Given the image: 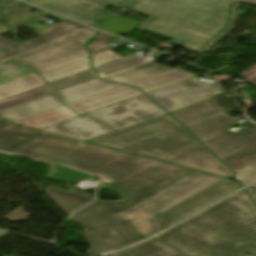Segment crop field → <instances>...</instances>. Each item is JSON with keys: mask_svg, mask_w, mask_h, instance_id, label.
I'll return each instance as SVG.
<instances>
[{"mask_svg": "<svg viewBox=\"0 0 256 256\" xmlns=\"http://www.w3.org/2000/svg\"><path fill=\"white\" fill-rule=\"evenodd\" d=\"M0 151L101 173L126 192L122 202L96 200L72 214V221L93 229L83 236L92 246L89 256L145 239L121 212L192 172L4 122H0Z\"/></svg>", "mask_w": 256, "mask_h": 256, "instance_id": "obj_1", "label": "crop field"}, {"mask_svg": "<svg viewBox=\"0 0 256 256\" xmlns=\"http://www.w3.org/2000/svg\"><path fill=\"white\" fill-rule=\"evenodd\" d=\"M82 23L99 28V8L82 2L69 4L24 0ZM129 1V0H127ZM237 3L230 0H134L126 8L150 17L138 30L175 39L189 49L204 53L210 45L193 41L197 33L224 35L232 25Z\"/></svg>", "mask_w": 256, "mask_h": 256, "instance_id": "obj_2", "label": "crop field"}, {"mask_svg": "<svg viewBox=\"0 0 256 256\" xmlns=\"http://www.w3.org/2000/svg\"><path fill=\"white\" fill-rule=\"evenodd\" d=\"M155 238L190 256H248L243 252L256 247V208L241 190Z\"/></svg>", "mask_w": 256, "mask_h": 256, "instance_id": "obj_3", "label": "crop field"}, {"mask_svg": "<svg viewBox=\"0 0 256 256\" xmlns=\"http://www.w3.org/2000/svg\"><path fill=\"white\" fill-rule=\"evenodd\" d=\"M90 142L227 178L234 175L167 114Z\"/></svg>", "mask_w": 256, "mask_h": 256, "instance_id": "obj_4", "label": "crop field"}, {"mask_svg": "<svg viewBox=\"0 0 256 256\" xmlns=\"http://www.w3.org/2000/svg\"><path fill=\"white\" fill-rule=\"evenodd\" d=\"M235 173L256 159V125L233 133L237 123L222 109L215 97L170 112ZM198 139V140H199Z\"/></svg>", "mask_w": 256, "mask_h": 256, "instance_id": "obj_5", "label": "crop field"}, {"mask_svg": "<svg viewBox=\"0 0 256 256\" xmlns=\"http://www.w3.org/2000/svg\"><path fill=\"white\" fill-rule=\"evenodd\" d=\"M96 32L88 28L13 60L39 73L48 71L89 57L83 43L92 38ZM34 75L37 74L13 63L0 70V87Z\"/></svg>", "mask_w": 256, "mask_h": 256, "instance_id": "obj_6", "label": "crop field"}, {"mask_svg": "<svg viewBox=\"0 0 256 256\" xmlns=\"http://www.w3.org/2000/svg\"><path fill=\"white\" fill-rule=\"evenodd\" d=\"M219 83L212 84L194 77L147 93L168 112L213 97L222 92Z\"/></svg>", "mask_w": 256, "mask_h": 256, "instance_id": "obj_7", "label": "crop field"}, {"mask_svg": "<svg viewBox=\"0 0 256 256\" xmlns=\"http://www.w3.org/2000/svg\"><path fill=\"white\" fill-rule=\"evenodd\" d=\"M89 113L119 130L165 113V111L142 94Z\"/></svg>", "mask_w": 256, "mask_h": 256, "instance_id": "obj_8", "label": "crop field"}, {"mask_svg": "<svg viewBox=\"0 0 256 256\" xmlns=\"http://www.w3.org/2000/svg\"><path fill=\"white\" fill-rule=\"evenodd\" d=\"M242 187L240 183L224 180L208 190L198 193L199 195L185 201L184 203L162 213L160 216L162 230Z\"/></svg>", "mask_w": 256, "mask_h": 256, "instance_id": "obj_9", "label": "crop field"}, {"mask_svg": "<svg viewBox=\"0 0 256 256\" xmlns=\"http://www.w3.org/2000/svg\"><path fill=\"white\" fill-rule=\"evenodd\" d=\"M86 28L88 27L66 20L35 32L36 34L40 35L39 38L27 41L20 45H17L0 36V50L3 47H7L6 51L0 52V63L19 57L20 55L26 54Z\"/></svg>", "mask_w": 256, "mask_h": 256, "instance_id": "obj_10", "label": "crop field"}, {"mask_svg": "<svg viewBox=\"0 0 256 256\" xmlns=\"http://www.w3.org/2000/svg\"><path fill=\"white\" fill-rule=\"evenodd\" d=\"M225 178L202 173L190 181L184 183L178 188L151 202L156 214L162 212L184 202L185 200L197 195L198 193L208 189Z\"/></svg>", "mask_w": 256, "mask_h": 256, "instance_id": "obj_11", "label": "crop field"}, {"mask_svg": "<svg viewBox=\"0 0 256 256\" xmlns=\"http://www.w3.org/2000/svg\"><path fill=\"white\" fill-rule=\"evenodd\" d=\"M90 115V114H89ZM88 114L64 120L40 130L87 141L90 138L113 131Z\"/></svg>", "mask_w": 256, "mask_h": 256, "instance_id": "obj_12", "label": "crop field"}, {"mask_svg": "<svg viewBox=\"0 0 256 256\" xmlns=\"http://www.w3.org/2000/svg\"><path fill=\"white\" fill-rule=\"evenodd\" d=\"M201 172H194L181 180L177 181L176 183L172 184L171 186L165 188L164 190L160 191L159 193L153 195L152 197L148 198L147 200L135 205L134 207L126 210L123 214L137 227V229L146 237H150L159 232L158 223L154 217L151 215L153 214V209L150 205V202L157 199L158 197L164 195L165 193L171 191L172 189L178 187L179 185L183 184L184 182L190 180L191 178L195 177L196 175L200 174Z\"/></svg>", "mask_w": 256, "mask_h": 256, "instance_id": "obj_13", "label": "crop field"}, {"mask_svg": "<svg viewBox=\"0 0 256 256\" xmlns=\"http://www.w3.org/2000/svg\"><path fill=\"white\" fill-rule=\"evenodd\" d=\"M139 94H142L140 90L122 85L67 105L78 114H83Z\"/></svg>", "mask_w": 256, "mask_h": 256, "instance_id": "obj_14", "label": "crop field"}, {"mask_svg": "<svg viewBox=\"0 0 256 256\" xmlns=\"http://www.w3.org/2000/svg\"><path fill=\"white\" fill-rule=\"evenodd\" d=\"M60 105H63V103L55 94H53L26 104L0 111V119L12 122Z\"/></svg>", "mask_w": 256, "mask_h": 256, "instance_id": "obj_15", "label": "crop field"}, {"mask_svg": "<svg viewBox=\"0 0 256 256\" xmlns=\"http://www.w3.org/2000/svg\"><path fill=\"white\" fill-rule=\"evenodd\" d=\"M194 76L196 75L188 71H181L177 68H174V69H170V70L149 76L147 78L129 83L127 85L139 87L145 93H147L151 90H154L172 83H176Z\"/></svg>", "mask_w": 256, "mask_h": 256, "instance_id": "obj_16", "label": "crop field"}, {"mask_svg": "<svg viewBox=\"0 0 256 256\" xmlns=\"http://www.w3.org/2000/svg\"><path fill=\"white\" fill-rule=\"evenodd\" d=\"M76 115V113L64 105L15 121L13 123L39 129Z\"/></svg>", "mask_w": 256, "mask_h": 256, "instance_id": "obj_17", "label": "crop field"}, {"mask_svg": "<svg viewBox=\"0 0 256 256\" xmlns=\"http://www.w3.org/2000/svg\"><path fill=\"white\" fill-rule=\"evenodd\" d=\"M119 85L121 84L110 83L102 79H98L67 90L57 92V94L64 101V103L67 104Z\"/></svg>", "mask_w": 256, "mask_h": 256, "instance_id": "obj_18", "label": "crop field"}, {"mask_svg": "<svg viewBox=\"0 0 256 256\" xmlns=\"http://www.w3.org/2000/svg\"><path fill=\"white\" fill-rule=\"evenodd\" d=\"M106 256H185L162 243L150 239L142 244Z\"/></svg>", "mask_w": 256, "mask_h": 256, "instance_id": "obj_19", "label": "crop field"}, {"mask_svg": "<svg viewBox=\"0 0 256 256\" xmlns=\"http://www.w3.org/2000/svg\"><path fill=\"white\" fill-rule=\"evenodd\" d=\"M45 194L48 195L67 215L92 200V198L76 192L65 191L54 187H47Z\"/></svg>", "mask_w": 256, "mask_h": 256, "instance_id": "obj_20", "label": "crop field"}, {"mask_svg": "<svg viewBox=\"0 0 256 256\" xmlns=\"http://www.w3.org/2000/svg\"><path fill=\"white\" fill-rule=\"evenodd\" d=\"M170 68L149 62L128 70H124L106 77H103L107 80L126 84L144 77H147L149 75L167 70Z\"/></svg>", "mask_w": 256, "mask_h": 256, "instance_id": "obj_21", "label": "crop field"}, {"mask_svg": "<svg viewBox=\"0 0 256 256\" xmlns=\"http://www.w3.org/2000/svg\"><path fill=\"white\" fill-rule=\"evenodd\" d=\"M50 94H53V92L45 84L37 88L0 100V110L26 103Z\"/></svg>", "mask_w": 256, "mask_h": 256, "instance_id": "obj_22", "label": "crop field"}, {"mask_svg": "<svg viewBox=\"0 0 256 256\" xmlns=\"http://www.w3.org/2000/svg\"><path fill=\"white\" fill-rule=\"evenodd\" d=\"M89 63L90 57L50 70L48 72L42 73L41 75L46 80V82L49 83L67 77L69 75L90 69Z\"/></svg>", "mask_w": 256, "mask_h": 256, "instance_id": "obj_23", "label": "crop field"}, {"mask_svg": "<svg viewBox=\"0 0 256 256\" xmlns=\"http://www.w3.org/2000/svg\"><path fill=\"white\" fill-rule=\"evenodd\" d=\"M139 24L140 22L127 18H118L105 12L102 29L119 36L121 34L128 33L136 28Z\"/></svg>", "mask_w": 256, "mask_h": 256, "instance_id": "obj_24", "label": "crop field"}, {"mask_svg": "<svg viewBox=\"0 0 256 256\" xmlns=\"http://www.w3.org/2000/svg\"><path fill=\"white\" fill-rule=\"evenodd\" d=\"M98 79L97 75L94 70L90 69L70 77L49 83L50 87L53 89L54 92L66 89L78 84H82L91 80Z\"/></svg>", "mask_w": 256, "mask_h": 256, "instance_id": "obj_25", "label": "crop field"}, {"mask_svg": "<svg viewBox=\"0 0 256 256\" xmlns=\"http://www.w3.org/2000/svg\"><path fill=\"white\" fill-rule=\"evenodd\" d=\"M145 62L142 58L137 56L136 54L121 58L112 62H109L107 64L95 67V70L99 72L100 77L112 72H116L131 66H134L136 64Z\"/></svg>", "mask_w": 256, "mask_h": 256, "instance_id": "obj_26", "label": "crop field"}, {"mask_svg": "<svg viewBox=\"0 0 256 256\" xmlns=\"http://www.w3.org/2000/svg\"><path fill=\"white\" fill-rule=\"evenodd\" d=\"M45 84L40 75L0 88V99Z\"/></svg>", "mask_w": 256, "mask_h": 256, "instance_id": "obj_27", "label": "crop field"}, {"mask_svg": "<svg viewBox=\"0 0 256 256\" xmlns=\"http://www.w3.org/2000/svg\"><path fill=\"white\" fill-rule=\"evenodd\" d=\"M61 170H63V172H61ZM61 170L50 176L48 179L77 183L88 176V174L78 172L67 167L62 168Z\"/></svg>", "mask_w": 256, "mask_h": 256, "instance_id": "obj_28", "label": "crop field"}, {"mask_svg": "<svg viewBox=\"0 0 256 256\" xmlns=\"http://www.w3.org/2000/svg\"><path fill=\"white\" fill-rule=\"evenodd\" d=\"M45 2H48L50 0H42ZM55 1H61V2H69V3H78V2H88L90 4L96 5L101 8L97 18L101 19L102 16V11L107 7V6H124L127 4V1L124 0H55Z\"/></svg>", "mask_w": 256, "mask_h": 256, "instance_id": "obj_29", "label": "crop field"}, {"mask_svg": "<svg viewBox=\"0 0 256 256\" xmlns=\"http://www.w3.org/2000/svg\"><path fill=\"white\" fill-rule=\"evenodd\" d=\"M112 37L114 36L99 32V34L96 35V42H94V44L87 47L90 50L91 55L114 48L113 46L106 43Z\"/></svg>", "mask_w": 256, "mask_h": 256, "instance_id": "obj_30", "label": "crop field"}, {"mask_svg": "<svg viewBox=\"0 0 256 256\" xmlns=\"http://www.w3.org/2000/svg\"><path fill=\"white\" fill-rule=\"evenodd\" d=\"M236 179L242 181L243 185H247L256 180V160L240 170L237 175Z\"/></svg>", "mask_w": 256, "mask_h": 256, "instance_id": "obj_31", "label": "crop field"}, {"mask_svg": "<svg viewBox=\"0 0 256 256\" xmlns=\"http://www.w3.org/2000/svg\"><path fill=\"white\" fill-rule=\"evenodd\" d=\"M118 58H121V56L115 55V53L108 50V51L102 52L100 54L94 55L92 66L95 67V66L107 63L109 61H112V60H115Z\"/></svg>", "mask_w": 256, "mask_h": 256, "instance_id": "obj_32", "label": "crop field"}, {"mask_svg": "<svg viewBox=\"0 0 256 256\" xmlns=\"http://www.w3.org/2000/svg\"><path fill=\"white\" fill-rule=\"evenodd\" d=\"M220 37H222V36L207 37L205 35L198 34V35H196L194 40L197 42L213 45Z\"/></svg>", "mask_w": 256, "mask_h": 256, "instance_id": "obj_33", "label": "crop field"}, {"mask_svg": "<svg viewBox=\"0 0 256 256\" xmlns=\"http://www.w3.org/2000/svg\"><path fill=\"white\" fill-rule=\"evenodd\" d=\"M245 80L250 81L256 78V65L240 74Z\"/></svg>", "mask_w": 256, "mask_h": 256, "instance_id": "obj_34", "label": "crop field"}, {"mask_svg": "<svg viewBox=\"0 0 256 256\" xmlns=\"http://www.w3.org/2000/svg\"><path fill=\"white\" fill-rule=\"evenodd\" d=\"M249 195L251 196V198L253 199L254 203L256 204V187H248L246 188Z\"/></svg>", "mask_w": 256, "mask_h": 256, "instance_id": "obj_35", "label": "crop field"}, {"mask_svg": "<svg viewBox=\"0 0 256 256\" xmlns=\"http://www.w3.org/2000/svg\"><path fill=\"white\" fill-rule=\"evenodd\" d=\"M234 1L243 2V3H246V4L256 6V0H234Z\"/></svg>", "mask_w": 256, "mask_h": 256, "instance_id": "obj_36", "label": "crop field"}, {"mask_svg": "<svg viewBox=\"0 0 256 256\" xmlns=\"http://www.w3.org/2000/svg\"><path fill=\"white\" fill-rule=\"evenodd\" d=\"M92 175H94V176H96V177H98V178H100V179H102V180H104L108 183L111 181L108 177H106L104 175H101V174H92Z\"/></svg>", "mask_w": 256, "mask_h": 256, "instance_id": "obj_37", "label": "crop field"}, {"mask_svg": "<svg viewBox=\"0 0 256 256\" xmlns=\"http://www.w3.org/2000/svg\"><path fill=\"white\" fill-rule=\"evenodd\" d=\"M7 30H10V29H8V28H6V27L0 25V33H1V32H4V31H7Z\"/></svg>", "mask_w": 256, "mask_h": 256, "instance_id": "obj_38", "label": "crop field"}, {"mask_svg": "<svg viewBox=\"0 0 256 256\" xmlns=\"http://www.w3.org/2000/svg\"><path fill=\"white\" fill-rule=\"evenodd\" d=\"M11 63H13V61H9V62H7V63L1 65V66H0V69L3 68V67H5V66H7V65H9V64H11Z\"/></svg>", "mask_w": 256, "mask_h": 256, "instance_id": "obj_39", "label": "crop field"}, {"mask_svg": "<svg viewBox=\"0 0 256 256\" xmlns=\"http://www.w3.org/2000/svg\"><path fill=\"white\" fill-rule=\"evenodd\" d=\"M251 83H254V84H256V80H255V81H253V82H251Z\"/></svg>", "mask_w": 256, "mask_h": 256, "instance_id": "obj_40", "label": "crop field"}, {"mask_svg": "<svg viewBox=\"0 0 256 256\" xmlns=\"http://www.w3.org/2000/svg\"><path fill=\"white\" fill-rule=\"evenodd\" d=\"M254 185H256V183H254Z\"/></svg>", "mask_w": 256, "mask_h": 256, "instance_id": "obj_41", "label": "crop field"}]
</instances>
